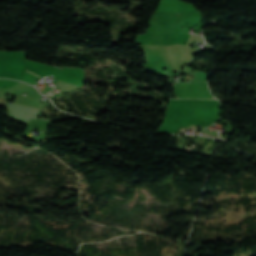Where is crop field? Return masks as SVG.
<instances>
[{"mask_svg":"<svg viewBox=\"0 0 256 256\" xmlns=\"http://www.w3.org/2000/svg\"><path fill=\"white\" fill-rule=\"evenodd\" d=\"M7 105L12 113L11 116L27 122H29L31 118L37 119V115L40 111L39 109H35V108H31V107H27V106L15 104V103L13 105H9V104Z\"/></svg>","mask_w":256,"mask_h":256,"instance_id":"1","label":"crop field"}]
</instances>
